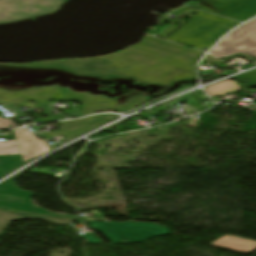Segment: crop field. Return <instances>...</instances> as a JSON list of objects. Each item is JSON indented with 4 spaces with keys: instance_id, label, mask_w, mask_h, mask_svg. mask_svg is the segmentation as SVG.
<instances>
[{
    "instance_id": "412701ff",
    "label": "crop field",
    "mask_w": 256,
    "mask_h": 256,
    "mask_svg": "<svg viewBox=\"0 0 256 256\" xmlns=\"http://www.w3.org/2000/svg\"><path fill=\"white\" fill-rule=\"evenodd\" d=\"M146 97L143 92L129 93L119 100H111L104 96H94L86 93H74L68 89L62 100H76L81 101L80 117L99 111L115 110L123 111L134 109L148 100L143 99Z\"/></svg>"
},
{
    "instance_id": "92a150f3",
    "label": "crop field",
    "mask_w": 256,
    "mask_h": 256,
    "mask_svg": "<svg viewBox=\"0 0 256 256\" xmlns=\"http://www.w3.org/2000/svg\"><path fill=\"white\" fill-rule=\"evenodd\" d=\"M3 175H4V173H3V172L1 171V169H0V177L3 176Z\"/></svg>"
},
{
    "instance_id": "5142ce71",
    "label": "crop field",
    "mask_w": 256,
    "mask_h": 256,
    "mask_svg": "<svg viewBox=\"0 0 256 256\" xmlns=\"http://www.w3.org/2000/svg\"><path fill=\"white\" fill-rule=\"evenodd\" d=\"M23 162L24 161L21 155L0 156V167L5 174L10 171L14 166Z\"/></svg>"
},
{
    "instance_id": "f4fd0767",
    "label": "crop field",
    "mask_w": 256,
    "mask_h": 256,
    "mask_svg": "<svg viewBox=\"0 0 256 256\" xmlns=\"http://www.w3.org/2000/svg\"><path fill=\"white\" fill-rule=\"evenodd\" d=\"M64 0H0V23L53 12Z\"/></svg>"
},
{
    "instance_id": "5a996713",
    "label": "crop field",
    "mask_w": 256,
    "mask_h": 256,
    "mask_svg": "<svg viewBox=\"0 0 256 256\" xmlns=\"http://www.w3.org/2000/svg\"><path fill=\"white\" fill-rule=\"evenodd\" d=\"M57 89L58 87L55 89L49 87L32 89L19 84L0 86V102L18 105L31 100L44 105Z\"/></svg>"
},
{
    "instance_id": "214f88e0",
    "label": "crop field",
    "mask_w": 256,
    "mask_h": 256,
    "mask_svg": "<svg viewBox=\"0 0 256 256\" xmlns=\"http://www.w3.org/2000/svg\"><path fill=\"white\" fill-rule=\"evenodd\" d=\"M242 78H246V79H249V80H251L253 83H255L256 82V79L255 78H249V77H243V76H241Z\"/></svg>"
},
{
    "instance_id": "dd49c442",
    "label": "crop field",
    "mask_w": 256,
    "mask_h": 256,
    "mask_svg": "<svg viewBox=\"0 0 256 256\" xmlns=\"http://www.w3.org/2000/svg\"><path fill=\"white\" fill-rule=\"evenodd\" d=\"M210 53L219 58L235 53H247L256 58V19L233 31Z\"/></svg>"
},
{
    "instance_id": "bc2a9ffb",
    "label": "crop field",
    "mask_w": 256,
    "mask_h": 256,
    "mask_svg": "<svg viewBox=\"0 0 256 256\" xmlns=\"http://www.w3.org/2000/svg\"><path fill=\"white\" fill-rule=\"evenodd\" d=\"M243 76H249V77H255L256 78V70L255 71H252V72H249Z\"/></svg>"
},
{
    "instance_id": "ac0d7876",
    "label": "crop field",
    "mask_w": 256,
    "mask_h": 256,
    "mask_svg": "<svg viewBox=\"0 0 256 256\" xmlns=\"http://www.w3.org/2000/svg\"><path fill=\"white\" fill-rule=\"evenodd\" d=\"M240 23L199 11L168 40L186 44L207 51L217 39Z\"/></svg>"
},
{
    "instance_id": "d8731c3e",
    "label": "crop field",
    "mask_w": 256,
    "mask_h": 256,
    "mask_svg": "<svg viewBox=\"0 0 256 256\" xmlns=\"http://www.w3.org/2000/svg\"><path fill=\"white\" fill-rule=\"evenodd\" d=\"M202 10L237 21L256 15V0H200Z\"/></svg>"
},
{
    "instance_id": "4a817a6b",
    "label": "crop field",
    "mask_w": 256,
    "mask_h": 256,
    "mask_svg": "<svg viewBox=\"0 0 256 256\" xmlns=\"http://www.w3.org/2000/svg\"><path fill=\"white\" fill-rule=\"evenodd\" d=\"M9 125H12L13 127H16L17 125L14 124L10 119H3L0 118V129L8 128Z\"/></svg>"
},
{
    "instance_id": "3316defc",
    "label": "crop field",
    "mask_w": 256,
    "mask_h": 256,
    "mask_svg": "<svg viewBox=\"0 0 256 256\" xmlns=\"http://www.w3.org/2000/svg\"><path fill=\"white\" fill-rule=\"evenodd\" d=\"M14 133L25 162L45 154L50 150L44 140L33 136L27 129L15 130Z\"/></svg>"
},
{
    "instance_id": "d9b57169",
    "label": "crop field",
    "mask_w": 256,
    "mask_h": 256,
    "mask_svg": "<svg viewBox=\"0 0 256 256\" xmlns=\"http://www.w3.org/2000/svg\"><path fill=\"white\" fill-rule=\"evenodd\" d=\"M21 154L16 141L0 142V155Z\"/></svg>"
},
{
    "instance_id": "34b2d1b8",
    "label": "crop field",
    "mask_w": 256,
    "mask_h": 256,
    "mask_svg": "<svg viewBox=\"0 0 256 256\" xmlns=\"http://www.w3.org/2000/svg\"><path fill=\"white\" fill-rule=\"evenodd\" d=\"M95 229L99 230L113 244L143 242L153 236H162L170 234L168 228L160 224L143 222H99L88 221ZM127 239L126 242H120L121 239Z\"/></svg>"
},
{
    "instance_id": "d1516ede",
    "label": "crop field",
    "mask_w": 256,
    "mask_h": 256,
    "mask_svg": "<svg viewBox=\"0 0 256 256\" xmlns=\"http://www.w3.org/2000/svg\"><path fill=\"white\" fill-rule=\"evenodd\" d=\"M25 218H38L46 221L53 222L54 224L68 225L72 219L50 217L44 215L28 214V213H16L0 210V234L9 225L11 221L21 220Z\"/></svg>"
},
{
    "instance_id": "22f410ed",
    "label": "crop field",
    "mask_w": 256,
    "mask_h": 256,
    "mask_svg": "<svg viewBox=\"0 0 256 256\" xmlns=\"http://www.w3.org/2000/svg\"><path fill=\"white\" fill-rule=\"evenodd\" d=\"M210 245L248 254L256 249V241L225 235Z\"/></svg>"
},
{
    "instance_id": "28ad6ade",
    "label": "crop field",
    "mask_w": 256,
    "mask_h": 256,
    "mask_svg": "<svg viewBox=\"0 0 256 256\" xmlns=\"http://www.w3.org/2000/svg\"><path fill=\"white\" fill-rule=\"evenodd\" d=\"M111 118H115V117L109 116V115H99V116H94V117H89L84 119H78L74 121L60 122L63 130L46 134V136L48 137L73 136L76 134L84 133ZM69 122H73V123H69Z\"/></svg>"
},
{
    "instance_id": "e52e79f7",
    "label": "crop field",
    "mask_w": 256,
    "mask_h": 256,
    "mask_svg": "<svg viewBox=\"0 0 256 256\" xmlns=\"http://www.w3.org/2000/svg\"><path fill=\"white\" fill-rule=\"evenodd\" d=\"M22 174L23 173L9 179L8 181L0 185L1 209L18 210L46 215L75 217L70 215L53 214L32 205L30 197L34 194L27 191L19 190L14 184L15 179Z\"/></svg>"
},
{
    "instance_id": "cbeb9de0",
    "label": "crop field",
    "mask_w": 256,
    "mask_h": 256,
    "mask_svg": "<svg viewBox=\"0 0 256 256\" xmlns=\"http://www.w3.org/2000/svg\"><path fill=\"white\" fill-rule=\"evenodd\" d=\"M239 88H240L239 85L235 83L233 80H227V81L220 82L212 86L206 87L205 90L210 97H213V96L237 91Z\"/></svg>"
},
{
    "instance_id": "733c2abd",
    "label": "crop field",
    "mask_w": 256,
    "mask_h": 256,
    "mask_svg": "<svg viewBox=\"0 0 256 256\" xmlns=\"http://www.w3.org/2000/svg\"><path fill=\"white\" fill-rule=\"evenodd\" d=\"M82 237L87 239L88 243L103 244L102 241H100L95 235H92L91 233H86Z\"/></svg>"
},
{
    "instance_id": "8a807250",
    "label": "crop field",
    "mask_w": 256,
    "mask_h": 256,
    "mask_svg": "<svg viewBox=\"0 0 256 256\" xmlns=\"http://www.w3.org/2000/svg\"><path fill=\"white\" fill-rule=\"evenodd\" d=\"M203 54L147 36L137 45L95 58L0 64V78L45 80L63 76L104 83L130 78L139 84L170 86L177 80L195 78L194 67Z\"/></svg>"
}]
</instances>
